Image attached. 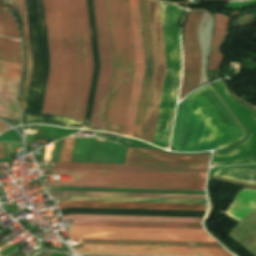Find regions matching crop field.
<instances>
[{"mask_svg": "<svg viewBox=\"0 0 256 256\" xmlns=\"http://www.w3.org/2000/svg\"><path fill=\"white\" fill-rule=\"evenodd\" d=\"M0 158H3V143H0Z\"/></svg>", "mask_w": 256, "mask_h": 256, "instance_id": "obj_33", "label": "crop field"}, {"mask_svg": "<svg viewBox=\"0 0 256 256\" xmlns=\"http://www.w3.org/2000/svg\"><path fill=\"white\" fill-rule=\"evenodd\" d=\"M83 248L76 249L83 253L103 254H141V255H181V256H233L224 248H195V247H153L126 245L82 244Z\"/></svg>", "mask_w": 256, "mask_h": 256, "instance_id": "obj_13", "label": "crop field"}, {"mask_svg": "<svg viewBox=\"0 0 256 256\" xmlns=\"http://www.w3.org/2000/svg\"><path fill=\"white\" fill-rule=\"evenodd\" d=\"M147 3L152 40L154 69L142 138L152 142L165 76L166 64L164 57V47L158 2L147 0Z\"/></svg>", "mask_w": 256, "mask_h": 256, "instance_id": "obj_8", "label": "crop field"}, {"mask_svg": "<svg viewBox=\"0 0 256 256\" xmlns=\"http://www.w3.org/2000/svg\"><path fill=\"white\" fill-rule=\"evenodd\" d=\"M167 70L154 136V145L167 147L174 101L179 81V14L180 8L159 2Z\"/></svg>", "mask_w": 256, "mask_h": 256, "instance_id": "obj_5", "label": "crop field"}, {"mask_svg": "<svg viewBox=\"0 0 256 256\" xmlns=\"http://www.w3.org/2000/svg\"><path fill=\"white\" fill-rule=\"evenodd\" d=\"M255 208L256 191L241 190L226 214L240 220ZM227 235L256 256V209L240 220Z\"/></svg>", "mask_w": 256, "mask_h": 256, "instance_id": "obj_11", "label": "crop field"}, {"mask_svg": "<svg viewBox=\"0 0 256 256\" xmlns=\"http://www.w3.org/2000/svg\"><path fill=\"white\" fill-rule=\"evenodd\" d=\"M50 195H51V197L63 196V195H95V196H127V197L206 199L205 195L153 194V193H117V192H82V191H62V192L51 193Z\"/></svg>", "mask_w": 256, "mask_h": 256, "instance_id": "obj_22", "label": "crop field"}, {"mask_svg": "<svg viewBox=\"0 0 256 256\" xmlns=\"http://www.w3.org/2000/svg\"><path fill=\"white\" fill-rule=\"evenodd\" d=\"M115 69L103 130H119L106 122L125 125L136 68L128 0H108ZM115 126L123 135L124 126Z\"/></svg>", "mask_w": 256, "mask_h": 256, "instance_id": "obj_2", "label": "crop field"}, {"mask_svg": "<svg viewBox=\"0 0 256 256\" xmlns=\"http://www.w3.org/2000/svg\"><path fill=\"white\" fill-rule=\"evenodd\" d=\"M215 86L245 128H248L250 137L246 142L234 148L216 153L212 166L256 163V114L241 104L233 101L222 82L215 84Z\"/></svg>", "mask_w": 256, "mask_h": 256, "instance_id": "obj_10", "label": "crop field"}, {"mask_svg": "<svg viewBox=\"0 0 256 256\" xmlns=\"http://www.w3.org/2000/svg\"><path fill=\"white\" fill-rule=\"evenodd\" d=\"M50 68L42 112L83 120L93 68L86 0H43Z\"/></svg>", "mask_w": 256, "mask_h": 256, "instance_id": "obj_1", "label": "crop field"}, {"mask_svg": "<svg viewBox=\"0 0 256 256\" xmlns=\"http://www.w3.org/2000/svg\"><path fill=\"white\" fill-rule=\"evenodd\" d=\"M62 217L64 220L95 219V220L180 221V222H201L202 220V218H187V217H154V216L89 215V214H70V215H64Z\"/></svg>", "mask_w": 256, "mask_h": 256, "instance_id": "obj_21", "label": "crop field"}, {"mask_svg": "<svg viewBox=\"0 0 256 256\" xmlns=\"http://www.w3.org/2000/svg\"><path fill=\"white\" fill-rule=\"evenodd\" d=\"M0 35L19 39L16 23L7 7H0Z\"/></svg>", "mask_w": 256, "mask_h": 256, "instance_id": "obj_27", "label": "crop field"}, {"mask_svg": "<svg viewBox=\"0 0 256 256\" xmlns=\"http://www.w3.org/2000/svg\"><path fill=\"white\" fill-rule=\"evenodd\" d=\"M9 256H24L20 251H15L12 254H10Z\"/></svg>", "mask_w": 256, "mask_h": 256, "instance_id": "obj_31", "label": "crop field"}, {"mask_svg": "<svg viewBox=\"0 0 256 256\" xmlns=\"http://www.w3.org/2000/svg\"><path fill=\"white\" fill-rule=\"evenodd\" d=\"M61 214L89 213V214H122V215H154V216H187L203 217L205 212L189 211H155V210H121V209H87L68 208L60 210Z\"/></svg>", "mask_w": 256, "mask_h": 256, "instance_id": "obj_18", "label": "crop field"}, {"mask_svg": "<svg viewBox=\"0 0 256 256\" xmlns=\"http://www.w3.org/2000/svg\"><path fill=\"white\" fill-rule=\"evenodd\" d=\"M214 175L256 185V165L224 166Z\"/></svg>", "mask_w": 256, "mask_h": 256, "instance_id": "obj_24", "label": "crop field"}, {"mask_svg": "<svg viewBox=\"0 0 256 256\" xmlns=\"http://www.w3.org/2000/svg\"><path fill=\"white\" fill-rule=\"evenodd\" d=\"M187 98L223 148L243 139L244 131L210 85Z\"/></svg>", "mask_w": 256, "mask_h": 256, "instance_id": "obj_7", "label": "crop field"}, {"mask_svg": "<svg viewBox=\"0 0 256 256\" xmlns=\"http://www.w3.org/2000/svg\"><path fill=\"white\" fill-rule=\"evenodd\" d=\"M14 1H15L16 5H17V8H18L19 13H20V16L22 18L23 29H24V38H25V46H26L27 67H26L24 85H23L21 102H20V106H21V108L23 110V113H24L26 96H27V90H28L30 73H31V67H32V60H31L29 33H28L27 20H26L25 0H14Z\"/></svg>", "mask_w": 256, "mask_h": 256, "instance_id": "obj_23", "label": "crop field"}, {"mask_svg": "<svg viewBox=\"0 0 256 256\" xmlns=\"http://www.w3.org/2000/svg\"><path fill=\"white\" fill-rule=\"evenodd\" d=\"M138 9H139L140 27H141V35H142L145 72H144V78L142 83L139 107L136 114L133 137L140 139L145 111H146V104H147L149 86L151 81L152 69H153V60H152V50H151L146 0H138Z\"/></svg>", "mask_w": 256, "mask_h": 256, "instance_id": "obj_15", "label": "crop field"}, {"mask_svg": "<svg viewBox=\"0 0 256 256\" xmlns=\"http://www.w3.org/2000/svg\"><path fill=\"white\" fill-rule=\"evenodd\" d=\"M20 45V42H19ZM19 45L16 41L6 40L0 38V60L18 63L21 59V45H20V59H19ZM22 64V59H21Z\"/></svg>", "mask_w": 256, "mask_h": 256, "instance_id": "obj_26", "label": "crop field"}, {"mask_svg": "<svg viewBox=\"0 0 256 256\" xmlns=\"http://www.w3.org/2000/svg\"><path fill=\"white\" fill-rule=\"evenodd\" d=\"M61 187L204 191V190H190V189L133 188V187H105V186H77V185H60L56 187L47 188L46 190L61 188Z\"/></svg>", "mask_w": 256, "mask_h": 256, "instance_id": "obj_30", "label": "crop field"}, {"mask_svg": "<svg viewBox=\"0 0 256 256\" xmlns=\"http://www.w3.org/2000/svg\"><path fill=\"white\" fill-rule=\"evenodd\" d=\"M74 225L203 229L201 223L72 220ZM72 226L69 240L78 238L217 242L204 230Z\"/></svg>", "mask_w": 256, "mask_h": 256, "instance_id": "obj_3", "label": "crop field"}, {"mask_svg": "<svg viewBox=\"0 0 256 256\" xmlns=\"http://www.w3.org/2000/svg\"><path fill=\"white\" fill-rule=\"evenodd\" d=\"M96 138H75L71 162L122 164L125 148Z\"/></svg>", "mask_w": 256, "mask_h": 256, "instance_id": "obj_14", "label": "crop field"}, {"mask_svg": "<svg viewBox=\"0 0 256 256\" xmlns=\"http://www.w3.org/2000/svg\"><path fill=\"white\" fill-rule=\"evenodd\" d=\"M83 240H84L85 243H99V244H135V245H177V246H186V242L98 240V239H83ZM83 240L81 239L82 243H84ZM187 246H197V243L187 242ZM198 246L222 247L219 243H198Z\"/></svg>", "mask_w": 256, "mask_h": 256, "instance_id": "obj_25", "label": "crop field"}, {"mask_svg": "<svg viewBox=\"0 0 256 256\" xmlns=\"http://www.w3.org/2000/svg\"><path fill=\"white\" fill-rule=\"evenodd\" d=\"M20 81L0 77V116L16 119L19 118L15 97Z\"/></svg>", "mask_w": 256, "mask_h": 256, "instance_id": "obj_20", "label": "crop field"}, {"mask_svg": "<svg viewBox=\"0 0 256 256\" xmlns=\"http://www.w3.org/2000/svg\"><path fill=\"white\" fill-rule=\"evenodd\" d=\"M129 2H130V10H131L137 68H136L135 77H134V83L132 88V94H131V99L129 104L128 117H127V123H126L124 135L132 137L135 114L138 106V100H139L143 71H144V62H143L141 35H140V27H139L137 0H129Z\"/></svg>", "mask_w": 256, "mask_h": 256, "instance_id": "obj_16", "label": "crop field"}, {"mask_svg": "<svg viewBox=\"0 0 256 256\" xmlns=\"http://www.w3.org/2000/svg\"><path fill=\"white\" fill-rule=\"evenodd\" d=\"M46 170H59V173H71L74 181L54 182L53 184L134 186L162 188L204 189L207 173L185 172H149V171H112V170H76L39 167Z\"/></svg>", "mask_w": 256, "mask_h": 256, "instance_id": "obj_4", "label": "crop field"}, {"mask_svg": "<svg viewBox=\"0 0 256 256\" xmlns=\"http://www.w3.org/2000/svg\"><path fill=\"white\" fill-rule=\"evenodd\" d=\"M100 69L89 129L101 130L112 70L105 0H93Z\"/></svg>", "mask_w": 256, "mask_h": 256, "instance_id": "obj_9", "label": "crop field"}, {"mask_svg": "<svg viewBox=\"0 0 256 256\" xmlns=\"http://www.w3.org/2000/svg\"><path fill=\"white\" fill-rule=\"evenodd\" d=\"M136 149V148H135ZM141 150V149H139ZM128 148L127 154H126V161H128L129 158V152H130V158L129 162H126L123 165H110V164H82V163H58L54 162L55 168H80V169H124V170H169V171H193V172H203L204 170H187L188 164H197V165H204L206 156H199V155H169L162 153L160 151H157L155 149H143L173 165L176 166V169L139 151ZM180 157H191V161H180ZM209 157L206 158L205 166H196V165H189L188 169H205L204 172H207L208 170V164H209ZM181 160H190V158H181Z\"/></svg>", "mask_w": 256, "mask_h": 256, "instance_id": "obj_6", "label": "crop field"}, {"mask_svg": "<svg viewBox=\"0 0 256 256\" xmlns=\"http://www.w3.org/2000/svg\"><path fill=\"white\" fill-rule=\"evenodd\" d=\"M56 204L59 207V209L68 208V207H87V208L205 211L207 207V205H190V204L120 203V202H85V201H64V202H58Z\"/></svg>", "mask_w": 256, "mask_h": 256, "instance_id": "obj_17", "label": "crop field"}, {"mask_svg": "<svg viewBox=\"0 0 256 256\" xmlns=\"http://www.w3.org/2000/svg\"><path fill=\"white\" fill-rule=\"evenodd\" d=\"M204 9L190 10L184 28L183 55L184 69L183 81L179 100L197 87L200 80V49L197 28Z\"/></svg>", "mask_w": 256, "mask_h": 256, "instance_id": "obj_12", "label": "crop field"}, {"mask_svg": "<svg viewBox=\"0 0 256 256\" xmlns=\"http://www.w3.org/2000/svg\"><path fill=\"white\" fill-rule=\"evenodd\" d=\"M178 3V2H177Z\"/></svg>", "mask_w": 256, "mask_h": 256, "instance_id": "obj_34", "label": "crop field"}, {"mask_svg": "<svg viewBox=\"0 0 256 256\" xmlns=\"http://www.w3.org/2000/svg\"><path fill=\"white\" fill-rule=\"evenodd\" d=\"M215 26L209 58L208 69H217L223 62L224 56L219 49L224 44L227 36V27L230 21L229 17L214 13Z\"/></svg>", "mask_w": 256, "mask_h": 256, "instance_id": "obj_19", "label": "crop field"}, {"mask_svg": "<svg viewBox=\"0 0 256 256\" xmlns=\"http://www.w3.org/2000/svg\"><path fill=\"white\" fill-rule=\"evenodd\" d=\"M73 141H74V138H72V137L63 139L59 161L70 162Z\"/></svg>", "mask_w": 256, "mask_h": 256, "instance_id": "obj_29", "label": "crop field"}, {"mask_svg": "<svg viewBox=\"0 0 256 256\" xmlns=\"http://www.w3.org/2000/svg\"><path fill=\"white\" fill-rule=\"evenodd\" d=\"M22 66L0 62V76L10 77L20 80Z\"/></svg>", "mask_w": 256, "mask_h": 256, "instance_id": "obj_28", "label": "crop field"}, {"mask_svg": "<svg viewBox=\"0 0 256 256\" xmlns=\"http://www.w3.org/2000/svg\"><path fill=\"white\" fill-rule=\"evenodd\" d=\"M7 126L0 122V131L4 132Z\"/></svg>", "mask_w": 256, "mask_h": 256, "instance_id": "obj_32", "label": "crop field"}]
</instances>
